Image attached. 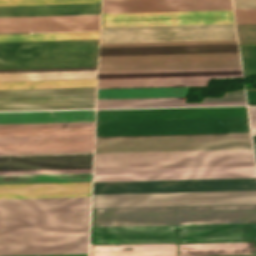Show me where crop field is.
<instances>
[{
  "instance_id": "crop-field-1",
  "label": "crop field",
  "mask_w": 256,
  "mask_h": 256,
  "mask_svg": "<svg viewBox=\"0 0 256 256\" xmlns=\"http://www.w3.org/2000/svg\"><path fill=\"white\" fill-rule=\"evenodd\" d=\"M255 166L94 170L93 182L240 178ZM93 194L256 190V178L93 183ZM256 203V191L93 195L92 208Z\"/></svg>"
},
{
  "instance_id": "crop-field-2",
  "label": "crop field",
  "mask_w": 256,
  "mask_h": 256,
  "mask_svg": "<svg viewBox=\"0 0 256 256\" xmlns=\"http://www.w3.org/2000/svg\"><path fill=\"white\" fill-rule=\"evenodd\" d=\"M89 202L90 197L1 199L0 255L87 253Z\"/></svg>"
},
{
  "instance_id": "crop-field-3",
  "label": "crop field",
  "mask_w": 256,
  "mask_h": 256,
  "mask_svg": "<svg viewBox=\"0 0 256 256\" xmlns=\"http://www.w3.org/2000/svg\"><path fill=\"white\" fill-rule=\"evenodd\" d=\"M240 67L236 40L100 44L99 71Z\"/></svg>"
},
{
  "instance_id": "crop-field-4",
  "label": "crop field",
  "mask_w": 256,
  "mask_h": 256,
  "mask_svg": "<svg viewBox=\"0 0 256 256\" xmlns=\"http://www.w3.org/2000/svg\"><path fill=\"white\" fill-rule=\"evenodd\" d=\"M234 23L232 10L102 14L101 27ZM236 39L234 24L101 28L100 43Z\"/></svg>"
},
{
  "instance_id": "crop-field-5",
  "label": "crop field",
  "mask_w": 256,
  "mask_h": 256,
  "mask_svg": "<svg viewBox=\"0 0 256 256\" xmlns=\"http://www.w3.org/2000/svg\"><path fill=\"white\" fill-rule=\"evenodd\" d=\"M98 40L0 43V68L97 65Z\"/></svg>"
},
{
  "instance_id": "crop-field-6",
  "label": "crop field",
  "mask_w": 256,
  "mask_h": 256,
  "mask_svg": "<svg viewBox=\"0 0 256 256\" xmlns=\"http://www.w3.org/2000/svg\"><path fill=\"white\" fill-rule=\"evenodd\" d=\"M252 149L250 133L96 137L95 153Z\"/></svg>"
},
{
  "instance_id": "crop-field-7",
  "label": "crop field",
  "mask_w": 256,
  "mask_h": 256,
  "mask_svg": "<svg viewBox=\"0 0 256 256\" xmlns=\"http://www.w3.org/2000/svg\"><path fill=\"white\" fill-rule=\"evenodd\" d=\"M254 159L252 150L95 154L94 163ZM255 165L254 160L94 164V169Z\"/></svg>"
},
{
  "instance_id": "crop-field-8",
  "label": "crop field",
  "mask_w": 256,
  "mask_h": 256,
  "mask_svg": "<svg viewBox=\"0 0 256 256\" xmlns=\"http://www.w3.org/2000/svg\"><path fill=\"white\" fill-rule=\"evenodd\" d=\"M235 77H242L240 68L99 72L98 88L207 86Z\"/></svg>"
},
{
  "instance_id": "crop-field-9",
  "label": "crop field",
  "mask_w": 256,
  "mask_h": 256,
  "mask_svg": "<svg viewBox=\"0 0 256 256\" xmlns=\"http://www.w3.org/2000/svg\"><path fill=\"white\" fill-rule=\"evenodd\" d=\"M96 87L0 90V94L95 91ZM95 92L0 95V111L95 108Z\"/></svg>"
},
{
  "instance_id": "crop-field-10",
  "label": "crop field",
  "mask_w": 256,
  "mask_h": 256,
  "mask_svg": "<svg viewBox=\"0 0 256 256\" xmlns=\"http://www.w3.org/2000/svg\"><path fill=\"white\" fill-rule=\"evenodd\" d=\"M82 15H98V23H97V16H80V15H46V16H80V17L9 16V17H44V18L0 17V18H9V19H0V33L96 30V23H97V31L8 33V34H0V35L99 32L100 14H82Z\"/></svg>"
},
{
  "instance_id": "crop-field-11",
  "label": "crop field",
  "mask_w": 256,
  "mask_h": 256,
  "mask_svg": "<svg viewBox=\"0 0 256 256\" xmlns=\"http://www.w3.org/2000/svg\"><path fill=\"white\" fill-rule=\"evenodd\" d=\"M232 9L231 0H103L102 13Z\"/></svg>"
},
{
  "instance_id": "crop-field-12",
  "label": "crop field",
  "mask_w": 256,
  "mask_h": 256,
  "mask_svg": "<svg viewBox=\"0 0 256 256\" xmlns=\"http://www.w3.org/2000/svg\"><path fill=\"white\" fill-rule=\"evenodd\" d=\"M185 100L186 97L98 100L97 109L245 105V101H223L245 100L243 90L225 93L223 98L203 99V101L223 102L185 104Z\"/></svg>"
},
{
  "instance_id": "crop-field-13",
  "label": "crop field",
  "mask_w": 256,
  "mask_h": 256,
  "mask_svg": "<svg viewBox=\"0 0 256 256\" xmlns=\"http://www.w3.org/2000/svg\"><path fill=\"white\" fill-rule=\"evenodd\" d=\"M91 182L0 184L1 198L90 196Z\"/></svg>"
},
{
  "instance_id": "crop-field-14",
  "label": "crop field",
  "mask_w": 256,
  "mask_h": 256,
  "mask_svg": "<svg viewBox=\"0 0 256 256\" xmlns=\"http://www.w3.org/2000/svg\"><path fill=\"white\" fill-rule=\"evenodd\" d=\"M97 67L0 70V82L96 79Z\"/></svg>"
},
{
  "instance_id": "crop-field-15",
  "label": "crop field",
  "mask_w": 256,
  "mask_h": 256,
  "mask_svg": "<svg viewBox=\"0 0 256 256\" xmlns=\"http://www.w3.org/2000/svg\"><path fill=\"white\" fill-rule=\"evenodd\" d=\"M76 121H94V111L0 113V124Z\"/></svg>"
},
{
  "instance_id": "crop-field-16",
  "label": "crop field",
  "mask_w": 256,
  "mask_h": 256,
  "mask_svg": "<svg viewBox=\"0 0 256 256\" xmlns=\"http://www.w3.org/2000/svg\"><path fill=\"white\" fill-rule=\"evenodd\" d=\"M100 13V4L0 7V16Z\"/></svg>"
},
{
  "instance_id": "crop-field-17",
  "label": "crop field",
  "mask_w": 256,
  "mask_h": 256,
  "mask_svg": "<svg viewBox=\"0 0 256 256\" xmlns=\"http://www.w3.org/2000/svg\"><path fill=\"white\" fill-rule=\"evenodd\" d=\"M188 87L98 89V99L186 96Z\"/></svg>"
},
{
  "instance_id": "crop-field-18",
  "label": "crop field",
  "mask_w": 256,
  "mask_h": 256,
  "mask_svg": "<svg viewBox=\"0 0 256 256\" xmlns=\"http://www.w3.org/2000/svg\"><path fill=\"white\" fill-rule=\"evenodd\" d=\"M91 181V174L0 176V183Z\"/></svg>"
},
{
  "instance_id": "crop-field-19",
  "label": "crop field",
  "mask_w": 256,
  "mask_h": 256,
  "mask_svg": "<svg viewBox=\"0 0 256 256\" xmlns=\"http://www.w3.org/2000/svg\"><path fill=\"white\" fill-rule=\"evenodd\" d=\"M98 36H99V33L9 35V36H0V42L98 39Z\"/></svg>"
},
{
  "instance_id": "crop-field-20",
  "label": "crop field",
  "mask_w": 256,
  "mask_h": 256,
  "mask_svg": "<svg viewBox=\"0 0 256 256\" xmlns=\"http://www.w3.org/2000/svg\"><path fill=\"white\" fill-rule=\"evenodd\" d=\"M96 86V80L0 83V89Z\"/></svg>"
},
{
  "instance_id": "crop-field-21",
  "label": "crop field",
  "mask_w": 256,
  "mask_h": 256,
  "mask_svg": "<svg viewBox=\"0 0 256 256\" xmlns=\"http://www.w3.org/2000/svg\"><path fill=\"white\" fill-rule=\"evenodd\" d=\"M100 3V0H0V6Z\"/></svg>"
},
{
  "instance_id": "crop-field-22",
  "label": "crop field",
  "mask_w": 256,
  "mask_h": 256,
  "mask_svg": "<svg viewBox=\"0 0 256 256\" xmlns=\"http://www.w3.org/2000/svg\"><path fill=\"white\" fill-rule=\"evenodd\" d=\"M244 75L256 74V48H240Z\"/></svg>"
},
{
  "instance_id": "crop-field-23",
  "label": "crop field",
  "mask_w": 256,
  "mask_h": 256,
  "mask_svg": "<svg viewBox=\"0 0 256 256\" xmlns=\"http://www.w3.org/2000/svg\"><path fill=\"white\" fill-rule=\"evenodd\" d=\"M72 173H91V169L0 171V175L72 174Z\"/></svg>"
},
{
  "instance_id": "crop-field-24",
  "label": "crop field",
  "mask_w": 256,
  "mask_h": 256,
  "mask_svg": "<svg viewBox=\"0 0 256 256\" xmlns=\"http://www.w3.org/2000/svg\"><path fill=\"white\" fill-rule=\"evenodd\" d=\"M239 41H256V24L236 25Z\"/></svg>"
},
{
  "instance_id": "crop-field-25",
  "label": "crop field",
  "mask_w": 256,
  "mask_h": 256,
  "mask_svg": "<svg viewBox=\"0 0 256 256\" xmlns=\"http://www.w3.org/2000/svg\"><path fill=\"white\" fill-rule=\"evenodd\" d=\"M236 24L256 23V9L234 10Z\"/></svg>"
},
{
  "instance_id": "crop-field-26",
  "label": "crop field",
  "mask_w": 256,
  "mask_h": 256,
  "mask_svg": "<svg viewBox=\"0 0 256 256\" xmlns=\"http://www.w3.org/2000/svg\"><path fill=\"white\" fill-rule=\"evenodd\" d=\"M234 9L256 8V0H233Z\"/></svg>"
},
{
  "instance_id": "crop-field-27",
  "label": "crop field",
  "mask_w": 256,
  "mask_h": 256,
  "mask_svg": "<svg viewBox=\"0 0 256 256\" xmlns=\"http://www.w3.org/2000/svg\"><path fill=\"white\" fill-rule=\"evenodd\" d=\"M252 128H256V107H248Z\"/></svg>"
},
{
  "instance_id": "crop-field-28",
  "label": "crop field",
  "mask_w": 256,
  "mask_h": 256,
  "mask_svg": "<svg viewBox=\"0 0 256 256\" xmlns=\"http://www.w3.org/2000/svg\"><path fill=\"white\" fill-rule=\"evenodd\" d=\"M253 139H254V147H255V150H256V136H253Z\"/></svg>"
},
{
  "instance_id": "crop-field-29",
  "label": "crop field",
  "mask_w": 256,
  "mask_h": 256,
  "mask_svg": "<svg viewBox=\"0 0 256 256\" xmlns=\"http://www.w3.org/2000/svg\"><path fill=\"white\" fill-rule=\"evenodd\" d=\"M253 135H256V129H252Z\"/></svg>"
},
{
  "instance_id": "crop-field-30",
  "label": "crop field",
  "mask_w": 256,
  "mask_h": 256,
  "mask_svg": "<svg viewBox=\"0 0 256 256\" xmlns=\"http://www.w3.org/2000/svg\"><path fill=\"white\" fill-rule=\"evenodd\" d=\"M255 154H256V151H255Z\"/></svg>"
}]
</instances>
